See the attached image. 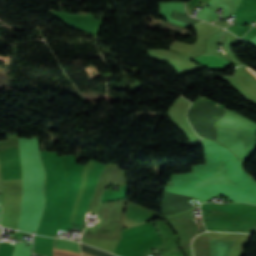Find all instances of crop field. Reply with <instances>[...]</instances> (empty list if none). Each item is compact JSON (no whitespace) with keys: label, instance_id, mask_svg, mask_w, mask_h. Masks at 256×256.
<instances>
[{"label":"crop field","instance_id":"1","mask_svg":"<svg viewBox=\"0 0 256 256\" xmlns=\"http://www.w3.org/2000/svg\"><path fill=\"white\" fill-rule=\"evenodd\" d=\"M53 249L54 250H60V251L80 253L78 242L65 240V239H54ZM54 250H53V252H57V253L76 254V253L60 252V251H54ZM57 253H53V256H77V255H81V254L67 255V254H57Z\"/></svg>","mask_w":256,"mask_h":256},{"label":"crop field","instance_id":"2","mask_svg":"<svg viewBox=\"0 0 256 256\" xmlns=\"http://www.w3.org/2000/svg\"><path fill=\"white\" fill-rule=\"evenodd\" d=\"M195 62L208 67L209 69L212 70H222L226 68L227 66L231 65L217 57H208L204 54L192 59Z\"/></svg>","mask_w":256,"mask_h":256},{"label":"crop field","instance_id":"3","mask_svg":"<svg viewBox=\"0 0 256 256\" xmlns=\"http://www.w3.org/2000/svg\"><path fill=\"white\" fill-rule=\"evenodd\" d=\"M82 256H112L107 252L81 244Z\"/></svg>","mask_w":256,"mask_h":256},{"label":"crop field","instance_id":"4","mask_svg":"<svg viewBox=\"0 0 256 256\" xmlns=\"http://www.w3.org/2000/svg\"><path fill=\"white\" fill-rule=\"evenodd\" d=\"M202 6H204V3H202Z\"/></svg>","mask_w":256,"mask_h":256}]
</instances>
